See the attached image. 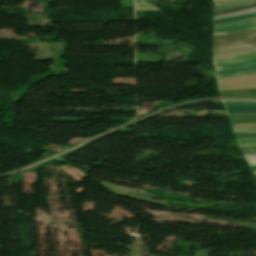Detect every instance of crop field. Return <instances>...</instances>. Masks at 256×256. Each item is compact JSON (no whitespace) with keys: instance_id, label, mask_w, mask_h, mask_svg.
Listing matches in <instances>:
<instances>
[{"instance_id":"crop-field-1","label":"crop field","mask_w":256,"mask_h":256,"mask_svg":"<svg viewBox=\"0 0 256 256\" xmlns=\"http://www.w3.org/2000/svg\"><path fill=\"white\" fill-rule=\"evenodd\" d=\"M256 50V29L214 36V56Z\"/></svg>"},{"instance_id":"crop-field-2","label":"crop field","mask_w":256,"mask_h":256,"mask_svg":"<svg viewBox=\"0 0 256 256\" xmlns=\"http://www.w3.org/2000/svg\"><path fill=\"white\" fill-rule=\"evenodd\" d=\"M256 28V18L245 19L220 25H214L213 27V35L230 33V32H238L247 29Z\"/></svg>"},{"instance_id":"crop-field-3","label":"crop field","mask_w":256,"mask_h":256,"mask_svg":"<svg viewBox=\"0 0 256 256\" xmlns=\"http://www.w3.org/2000/svg\"><path fill=\"white\" fill-rule=\"evenodd\" d=\"M255 60H256V52H253V53L243 54L238 56L214 58V65L215 67H219V66H227V65L255 61Z\"/></svg>"},{"instance_id":"crop-field-4","label":"crop field","mask_w":256,"mask_h":256,"mask_svg":"<svg viewBox=\"0 0 256 256\" xmlns=\"http://www.w3.org/2000/svg\"><path fill=\"white\" fill-rule=\"evenodd\" d=\"M229 114H256V104L225 103Z\"/></svg>"},{"instance_id":"crop-field-5","label":"crop field","mask_w":256,"mask_h":256,"mask_svg":"<svg viewBox=\"0 0 256 256\" xmlns=\"http://www.w3.org/2000/svg\"><path fill=\"white\" fill-rule=\"evenodd\" d=\"M253 74H256V67L216 72L217 79L253 75Z\"/></svg>"},{"instance_id":"crop-field-6","label":"crop field","mask_w":256,"mask_h":256,"mask_svg":"<svg viewBox=\"0 0 256 256\" xmlns=\"http://www.w3.org/2000/svg\"><path fill=\"white\" fill-rule=\"evenodd\" d=\"M232 124L256 123V115H229Z\"/></svg>"},{"instance_id":"crop-field-7","label":"crop field","mask_w":256,"mask_h":256,"mask_svg":"<svg viewBox=\"0 0 256 256\" xmlns=\"http://www.w3.org/2000/svg\"><path fill=\"white\" fill-rule=\"evenodd\" d=\"M253 2H256V0H244V1H236V2L219 4V5L215 6L214 11L224 9V8L234 7V6L245 5V4H249V3H253Z\"/></svg>"},{"instance_id":"crop-field-8","label":"crop field","mask_w":256,"mask_h":256,"mask_svg":"<svg viewBox=\"0 0 256 256\" xmlns=\"http://www.w3.org/2000/svg\"><path fill=\"white\" fill-rule=\"evenodd\" d=\"M252 7H256V3L250 4V5H245V6H240V7L224 9V10H220V11H216V12H214V16L220 15V14L229 13V12H234V11H238V10L248 9V8H252Z\"/></svg>"},{"instance_id":"crop-field-9","label":"crop field","mask_w":256,"mask_h":256,"mask_svg":"<svg viewBox=\"0 0 256 256\" xmlns=\"http://www.w3.org/2000/svg\"><path fill=\"white\" fill-rule=\"evenodd\" d=\"M250 17H256V12L250 13V14L241 15V16H237V17L216 20V21H214V24H220V23H224V22L240 20V19H245V18H250Z\"/></svg>"},{"instance_id":"crop-field-10","label":"crop field","mask_w":256,"mask_h":256,"mask_svg":"<svg viewBox=\"0 0 256 256\" xmlns=\"http://www.w3.org/2000/svg\"><path fill=\"white\" fill-rule=\"evenodd\" d=\"M254 11H256V8H252V9H248V10H243V11H238V12H234V13H229V14H225V15L216 16V17H214V20L221 19V18L232 17V16H236V15H241V14H245V13H250V12H254Z\"/></svg>"},{"instance_id":"crop-field-11","label":"crop field","mask_w":256,"mask_h":256,"mask_svg":"<svg viewBox=\"0 0 256 256\" xmlns=\"http://www.w3.org/2000/svg\"><path fill=\"white\" fill-rule=\"evenodd\" d=\"M253 65H256V61H255V62H249V63L238 64V65H233V66L215 68V70H216V71H220V70H229V69H236V68H242V67L253 66Z\"/></svg>"},{"instance_id":"crop-field-12","label":"crop field","mask_w":256,"mask_h":256,"mask_svg":"<svg viewBox=\"0 0 256 256\" xmlns=\"http://www.w3.org/2000/svg\"><path fill=\"white\" fill-rule=\"evenodd\" d=\"M219 94H220V96L235 95V94H251V91H250V89L231 90V91L219 92Z\"/></svg>"},{"instance_id":"crop-field-13","label":"crop field","mask_w":256,"mask_h":256,"mask_svg":"<svg viewBox=\"0 0 256 256\" xmlns=\"http://www.w3.org/2000/svg\"><path fill=\"white\" fill-rule=\"evenodd\" d=\"M245 127H256V124H238V125H233V128H245Z\"/></svg>"},{"instance_id":"crop-field-14","label":"crop field","mask_w":256,"mask_h":256,"mask_svg":"<svg viewBox=\"0 0 256 256\" xmlns=\"http://www.w3.org/2000/svg\"><path fill=\"white\" fill-rule=\"evenodd\" d=\"M240 147L246 146H256V142H249V143H239Z\"/></svg>"},{"instance_id":"crop-field-15","label":"crop field","mask_w":256,"mask_h":256,"mask_svg":"<svg viewBox=\"0 0 256 256\" xmlns=\"http://www.w3.org/2000/svg\"><path fill=\"white\" fill-rule=\"evenodd\" d=\"M243 155H253V154H256V151L255 152H242Z\"/></svg>"},{"instance_id":"crop-field-16","label":"crop field","mask_w":256,"mask_h":256,"mask_svg":"<svg viewBox=\"0 0 256 256\" xmlns=\"http://www.w3.org/2000/svg\"><path fill=\"white\" fill-rule=\"evenodd\" d=\"M249 141H256V140H244V141H238V142H249Z\"/></svg>"},{"instance_id":"crop-field-17","label":"crop field","mask_w":256,"mask_h":256,"mask_svg":"<svg viewBox=\"0 0 256 256\" xmlns=\"http://www.w3.org/2000/svg\"><path fill=\"white\" fill-rule=\"evenodd\" d=\"M226 1H230V0L218 1V2H215V3H222V2H226Z\"/></svg>"},{"instance_id":"crop-field-18","label":"crop field","mask_w":256,"mask_h":256,"mask_svg":"<svg viewBox=\"0 0 256 256\" xmlns=\"http://www.w3.org/2000/svg\"><path fill=\"white\" fill-rule=\"evenodd\" d=\"M242 139H256V138H242ZM242 139H237V140H242Z\"/></svg>"},{"instance_id":"crop-field-19","label":"crop field","mask_w":256,"mask_h":256,"mask_svg":"<svg viewBox=\"0 0 256 256\" xmlns=\"http://www.w3.org/2000/svg\"><path fill=\"white\" fill-rule=\"evenodd\" d=\"M214 1H216V0H214Z\"/></svg>"}]
</instances>
